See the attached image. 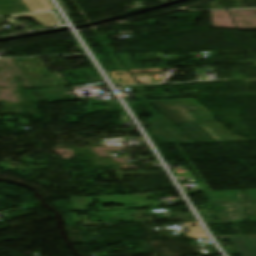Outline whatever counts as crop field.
<instances>
[{
  "label": "crop field",
  "mask_w": 256,
  "mask_h": 256,
  "mask_svg": "<svg viewBox=\"0 0 256 256\" xmlns=\"http://www.w3.org/2000/svg\"><path fill=\"white\" fill-rule=\"evenodd\" d=\"M152 197V200L144 201L143 198H149ZM154 194H144V195H119V196H99L95 197L98 198L99 201L105 202L104 204H129V203H142V204H136L132 206L127 207H118V208H109V209H128V208H136V207H156L153 205ZM73 204L74 211L80 210L84 211L87 210L86 205L89 206L92 204V197H79V198H69ZM109 200H112L113 202H107ZM109 209H103L102 205L98 206L97 210H109Z\"/></svg>",
  "instance_id": "crop-field-1"
},
{
  "label": "crop field",
  "mask_w": 256,
  "mask_h": 256,
  "mask_svg": "<svg viewBox=\"0 0 256 256\" xmlns=\"http://www.w3.org/2000/svg\"><path fill=\"white\" fill-rule=\"evenodd\" d=\"M150 127L174 125L163 115H154L148 119Z\"/></svg>",
  "instance_id": "crop-field-9"
},
{
  "label": "crop field",
  "mask_w": 256,
  "mask_h": 256,
  "mask_svg": "<svg viewBox=\"0 0 256 256\" xmlns=\"http://www.w3.org/2000/svg\"><path fill=\"white\" fill-rule=\"evenodd\" d=\"M28 12L20 0H0V15Z\"/></svg>",
  "instance_id": "crop-field-5"
},
{
  "label": "crop field",
  "mask_w": 256,
  "mask_h": 256,
  "mask_svg": "<svg viewBox=\"0 0 256 256\" xmlns=\"http://www.w3.org/2000/svg\"><path fill=\"white\" fill-rule=\"evenodd\" d=\"M7 20L9 21V22H12V21H14L13 19H11V18H7Z\"/></svg>",
  "instance_id": "crop-field-10"
},
{
  "label": "crop field",
  "mask_w": 256,
  "mask_h": 256,
  "mask_svg": "<svg viewBox=\"0 0 256 256\" xmlns=\"http://www.w3.org/2000/svg\"><path fill=\"white\" fill-rule=\"evenodd\" d=\"M176 124L188 123L160 99L148 100Z\"/></svg>",
  "instance_id": "crop-field-6"
},
{
  "label": "crop field",
  "mask_w": 256,
  "mask_h": 256,
  "mask_svg": "<svg viewBox=\"0 0 256 256\" xmlns=\"http://www.w3.org/2000/svg\"><path fill=\"white\" fill-rule=\"evenodd\" d=\"M179 127L182 128L187 134H189L197 142H200V143L219 142L200 124L183 125Z\"/></svg>",
  "instance_id": "crop-field-4"
},
{
  "label": "crop field",
  "mask_w": 256,
  "mask_h": 256,
  "mask_svg": "<svg viewBox=\"0 0 256 256\" xmlns=\"http://www.w3.org/2000/svg\"><path fill=\"white\" fill-rule=\"evenodd\" d=\"M166 144L195 143L177 126L152 129Z\"/></svg>",
  "instance_id": "crop-field-2"
},
{
  "label": "crop field",
  "mask_w": 256,
  "mask_h": 256,
  "mask_svg": "<svg viewBox=\"0 0 256 256\" xmlns=\"http://www.w3.org/2000/svg\"><path fill=\"white\" fill-rule=\"evenodd\" d=\"M240 256H256V243L251 237L228 238Z\"/></svg>",
  "instance_id": "crop-field-3"
},
{
  "label": "crop field",
  "mask_w": 256,
  "mask_h": 256,
  "mask_svg": "<svg viewBox=\"0 0 256 256\" xmlns=\"http://www.w3.org/2000/svg\"><path fill=\"white\" fill-rule=\"evenodd\" d=\"M30 12L54 10L49 0H22Z\"/></svg>",
  "instance_id": "crop-field-7"
},
{
  "label": "crop field",
  "mask_w": 256,
  "mask_h": 256,
  "mask_svg": "<svg viewBox=\"0 0 256 256\" xmlns=\"http://www.w3.org/2000/svg\"><path fill=\"white\" fill-rule=\"evenodd\" d=\"M33 16L35 21L45 26L57 25V20L54 18L52 13H39V14H28L22 16H15V18Z\"/></svg>",
  "instance_id": "crop-field-8"
},
{
  "label": "crop field",
  "mask_w": 256,
  "mask_h": 256,
  "mask_svg": "<svg viewBox=\"0 0 256 256\" xmlns=\"http://www.w3.org/2000/svg\"><path fill=\"white\" fill-rule=\"evenodd\" d=\"M252 238H253V237H252ZM254 238H255V240H256V237H254ZM254 238H253V239H254Z\"/></svg>",
  "instance_id": "crop-field-11"
}]
</instances>
